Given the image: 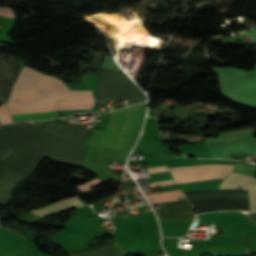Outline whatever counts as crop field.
Instances as JSON below:
<instances>
[{"label": "crop field", "instance_id": "crop-field-4", "mask_svg": "<svg viewBox=\"0 0 256 256\" xmlns=\"http://www.w3.org/2000/svg\"><path fill=\"white\" fill-rule=\"evenodd\" d=\"M219 188L245 189L248 209L251 212H256V178L231 172Z\"/></svg>", "mask_w": 256, "mask_h": 256}, {"label": "crop field", "instance_id": "crop-field-3", "mask_svg": "<svg viewBox=\"0 0 256 256\" xmlns=\"http://www.w3.org/2000/svg\"><path fill=\"white\" fill-rule=\"evenodd\" d=\"M234 165H200L170 169L175 183L224 178Z\"/></svg>", "mask_w": 256, "mask_h": 256}, {"label": "crop field", "instance_id": "crop-field-6", "mask_svg": "<svg viewBox=\"0 0 256 256\" xmlns=\"http://www.w3.org/2000/svg\"><path fill=\"white\" fill-rule=\"evenodd\" d=\"M83 204L76 197H73V198L62 200L50 206L33 210L31 212L37 215H44V214L55 213V212H59V211H63L71 208L81 207V206H84Z\"/></svg>", "mask_w": 256, "mask_h": 256}, {"label": "crop field", "instance_id": "crop-field-7", "mask_svg": "<svg viewBox=\"0 0 256 256\" xmlns=\"http://www.w3.org/2000/svg\"><path fill=\"white\" fill-rule=\"evenodd\" d=\"M98 179V178H97ZM96 178L92 179V180H89L85 183H82L78 186H76L77 190L82 193L84 191H87V190H90L92 188H95L97 186H100L102 184H104L103 182L97 180Z\"/></svg>", "mask_w": 256, "mask_h": 256}, {"label": "crop field", "instance_id": "crop-field-9", "mask_svg": "<svg viewBox=\"0 0 256 256\" xmlns=\"http://www.w3.org/2000/svg\"><path fill=\"white\" fill-rule=\"evenodd\" d=\"M0 15H4V16H9V17L15 18L12 9L0 8Z\"/></svg>", "mask_w": 256, "mask_h": 256}, {"label": "crop field", "instance_id": "crop-field-10", "mask_svg": "<svg viewBox=\"0 0 256 256\" xmlns=\"http://www.w3.org/2000/svg\"><path fill=\"white\" fill-rule=\"evenodd\" d=\"M173 183H174L173 180H169V181H163V182L150 183L148 185L150 188H152V187H156V186H163V185H168V184H173Z\"/></svg>", "mask_w": 256, "mask_h": 256}, {"label": "crop field", "instance_id": "crop-field-8", "mask_svg": "<svg viewBox=\"0 0 256 256\" xmlns=\"http://www.w3.org/2000/svg\"><path fill=\"white\" fill-rule=\"evenodd\" d=\"M10 122H13V121L4 103L0 106V124L10 123Z\"/></svg>", "mask_w": 256, "mask_h": 256}, {"label": "crop field", "instance_id": "crop-field-2", "mask_svg": "<svg viewBox=\"0 0 256 256\" xmlns=\"http://www.w3.org/2000/svg\"><path fill=\"white\" fill-rule=\"evenodd\" d=\"M146 104L110 112L105 130L94 129L85 144L104 149L130 151L140 131Z\"/></svg>", "mask_w": 256, "mask_h": 256}, {"label": "crop field", "instance_id": "crop-field-12", "mask_svg": "<svg viewBox=\"0 0 256 256\" xmlns=\"http://www.w3.org/2000/svg\"><path fill=\"white\" fill-rule=\"evenodd\" d=\"M18 234V233H17ZM20 235V234H19ZM21 236V235H20Z\"/></svg>", "mask_w": 256, "mask_h": 256}, {"label": "crop field", "instance_id": "crop-field-1", "mask_svg": "<svg viewBox=\"0 0 256 256\" xmlns=\"http://www.w3.org/2000/svg\"><path fill=\"white\" fill-rule=\"evenodd\" d=\"M91 91H69L60 80L23 67L8 98L11 114L91 108ZM14 122L54 119L57 111L11 115Z\"/></svg>", "mask_w": 256, "mask_h": 256}, {"label": "crop field", "instance_id": "crop-field-11", "mask_svg": "<svg viewBox=\"0 0 256 256\" xmlns=\"http://www.w3.org/2000/svg\"><path fill=\"white\" fill-rule=\"evenodd\" d=\"M148 173L168 170L166 166L146 168Z\"/></svg>", "mask_w": 256, "mask_h": 256}, {"label": "crop field", "instance_id": "crop-field-5", "mask_svg": "<svg viewBox=\"0 0 256 256\" xmlns=\"http://www.w3.org/2000/svg\"><path fill=\"white\" fill-rule=\"evenodd\" d=\"M70 256H125L116 242L87 250L70 252Z\"/></svg>", "mask_w": 256, "mask_h": 256}]
</instances>
